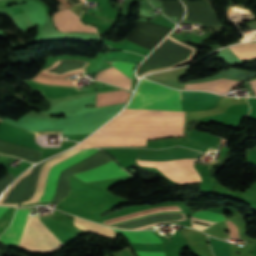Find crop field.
Wrapping results in <instances>:
<instances>
[{
  "instance_id": "obj_12",
  "label": "crop field",
  "mask_w": 256,
  "mask_h": 256,
  "mask_svg": "<svg viewBox=\"0 0 256 256\" xmlns=\"http://www.w3.org/2000/svg\"><path fill=\"white\" fill-rule=\"evenodd\" d=\"M122 107H123V106H122ZM122 107H121V108H122ZM121 108H120V109H121ZM120 109H119V110H120ZM119 110H118V111H119ZM118 111H117V112H118ZM117 112H116V113H117ZM116 113H115V114H116ZM115 114H114V115H115ZM112 116H113V115H112Z\"/></svg>"
},
{
  "instance_id": "obj_3",
  "label": "crop field",
  "mask_w": 256,
  "mask_h": 256,
  "mask_svg": "<svg viewBox=\"0 0 256 256\" xmlns=\"http://www.w3.org/2000/svg\"><path fill=\"white\" fill-rule=\"evenodd\" d=\"M127 108L182 111L179 91L142 79Z\"/></svg>"
},
{
  "instance_id": "obj_1",
  "label": "crop field",
  "mask_w": 256,
  "mask_h": 256,
  "mask_svg": "<svg viewBox=\"0 0 256 256\" xmlns=\"http://www.w3.org/2000/svg\"><path fill=\"white\" fill-rule=\"evenodd\" d=\"M118 116L127 117H184V112L125 109ZM115 117L106 125H183L184 118H127ZM183 129V126H104L99 131H154ZM184 136L183 130L154 132H97L89 138H159Z\"/></svg>"
},
{
  "instance_id": "obj_10",
  "label": "crop field",
  "mask_w": 256,
  "mask_h": 256,
  "mask_svg": "<svg viewBox=\"0 0 256 256\" xmlns=\"http://www.w3.org/2000/svg\"><path fill=\"white\" fill-rule=\"evenodd\" d=\"M247 159H248L247 162L256 165V157H254V156H252V155L247 153Z\"/></svg>"
},
{
  "instance_id": "obj_11",
  "label": "crop field",
  "mask_w": 256,
  "mask_h": 256,
  "mask_svg": "<svg viewBox=\"0 0 256 256\" xmlns=\"http://www.w3.org/2000/svg\"><path fill=\"white\" fill-rule=\"evenodd\" d=\"M8 207H0V215L7 209Z\"/></svg>"
},
{
  "instance_id": "obj_9",
  "label": "crop field",
  "mask_w": 256,
  "mask_h": 256,
  "mask_svg": "<svg viewBox=\"0 0 256 256\" xmlns=\"http://www.w3.org/2000/svg\"><path fill=\"white\" fill-rule=\"evenodd\" d=\"M118 70L124 73L126 76L133 79V69L136 66L135 64L124 63V62H112Z\"/></svg>"
},
{
  "instance_id": "obj_13",
  "label": "crop field",
  "mask_w": 256,
  "mask_h": 256,
  "mask_svg": "<svg viewBox=\"0 0 256 256\" xmlns=\"http://www.w3.org/2000/svg\"><path fill=\"white\" fill-rule=\"evenodd\" d=\"M84 1V0H83Z\"/></svg>"
},
{
  "instance_id": "obj_6",
  "label": "crop field",
  "mask_w": 256,
  "mask_h": 256,
  "mask_svg": "<svg viewBox=\"0 0 256 256\" xmlns=\"http://www.w3.org/2000/svg\"><path fill=\"white\" fill-rule=\"evenodd\" d=\"M118 234H121L127 242H139V243H162L150 230L130 232L115 230ZM139 256H165L164 254H142L137 253Z\"/></svg>"
},
{
  "instance_id": "obj_7",
  "label": "crop field",
  "mask_w": 256,
  "mask_h": 256,
  "mask_svg": "<svg viewBox=\"0 0 256 256\" xmlns=\"http://www.w3.org/2000/svg\"><path fill=\"white\" fill-rule=\"evenodd\" d=\"M181 96H182V99H201V100L213 102L215 104H217V102L220 99V96L213 95V94L206 93V92H184V91H181Z\"/></svg>"
},
{
  "instance_id": "obj_5",
  "label": "crop field",
  "mask_w": 256,
  "mask_h": 256,
  "mask_svg": "<svg viewBox=\"0 0 256 256\" xmlns=\"http://www.w3.org/2000/svg\"><path fill=\"white\" fill-rule=\"evenodd\" d=\"M29 211L30 209H17L12 224L0 237V241L8 245L18 246Z\"/></svg>"
},
{
  "instance_id": "obj_2",
  "label": "crop field",
  "mask_w": 256,
  "mask_h": 256,
  "mask_svg": "<svg viewBox=\"0 0 256 256\" xmlns=\"http://www.w3.org/2000/svg\"><path fill=\"white\" fill-rule=\"evenodd\" d=\"M97 149H89L83 150L59 163L52 166L47 177L44 193L42 198L38 202L43 201H50L55 193V187L58 181L59 173L62 169L72 165L73 163L91 155L92 153L96 152ZM129 174L126 173L122 168H120L114 160L104 164L98 168L92 169L85 173L75 174L78 178L85 182L89 181H96V180H104V179H111L117 177L128 176Z\"/></svg>"
},
{
  "instance_id": "obj_8",
  "label": "crop field",
  "mask_w": 256,
  "mask_h": 256,
  "mask_svg": "<svg viewBox=\"0 0 256 256\" xmlns=\"http://www.w3.org/2000/svg\"><path fill=\"white\" fill-rule=\"evenodd\" d=\"M192 215L214 223L223 221L224 219V215L209 211L194 212Z\"/></svg>"
},
{
  "instance_id": "obj_4",
  "label": "crop field",
  "mask_w": 256,
  "mask_h": 256,
  "mask_svg": "<svg viewBox=\"0 0 256 256\" xmlns=\"http://www.w3.org/2000/svg\"><path fill=\"white\" fill-rule=\"evenodd\" d=\"M202 153L197 151L188 150H166L161 153L153 152H140L138 159L143 160H157V161H168L172 159L182 158V157H200ZM160 169L167 177L178 183H192L195 181H201V178L193 167V164L181 165L176 167H157Z\"/></svg>"
}]
</instances>
